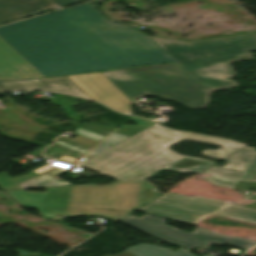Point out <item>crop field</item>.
Masks as SVG:
<instances>
[{
    "label": "crop field",
    "instance_id": "3316defc",
    "mask_svg": "<svg viewBox=\"0 0 256 256\" xmlns=\"http://www.w3.org/2000/svg\"><path fill=\"white\" fill-rule=\"evenodd\" d=\"M88 0H0V24Z\"/></svg>",
    "mask_w": 256,
    "mask_h": 256
},
{
    "label": "crop field",
    "instance_id": "d8731c3e",
    "mask_svg": "<svg viewBox=\"0 0 256 256\" xmlns=\"http://www.w3.org/2000/svg\"><path fill=\"white\" fill-rule=\"evenodd\" d=\"M223 168L210 167L202 173L213 175L203 179L219 186L246 189L256 188V151L244 147L224 159Z\"/></svg>",
    "mask_w": 256,
    "mask_h": 256
},
{
    "label": "crop field",
    "instance_id": "34b2d1b8",
    "mask_svg": "<svg viewBox=\"0 0 256 256\" xmlns=\"http://www.w3.org/2000/svg\"><path fill=\"white\" fill-rule=\"evenodd\" d=\"M144 180L116 182L99 187L91 184L47 188L44 193L8 191L25 208H36L44 219L80 216H102L116 222L141 208ZM103 209H118L100 210ZM50 214L51 216H46Z\"/></svg>",
    "mask_w": 256,
    "mask_h": 256
},
{
    "label": "crop field",
    "instance_id": "dd49c442",
    "mask_svg": "<svg viewBox=\"0 0 256 256\" xmlns=\"http://www.w3.org/2000/svg\"><path fill=\"white\" fill-rule=\"evenodd\" d=\"M137 211L189 224H196L212 214L256 223V202L240 207L200 196L190 198L171 192Z\"/></svg>",
    "mask_w": 256,
    "mask_h": 256
},
{
    "label": "crop field",
    "instance_id": "8a807250",
    "mask_svg": "<svg viewBox=\"0 0 256 256\" xmlns=\"http://www.w3.org/2000/svg\"><path fill=\"white\" fill-rule=\"evenodd\" d=\"M43 76L175 62L147 35L107 20L91 3L0 27Z\"/></svg>",
    "mask_w": 256,
    "mask_h": 256
},
{
    "label": "crop field",
    "instance_id": "ac0d7876",
    "mask_svg": "<svg viewBox=\"0 0 256 256\" xmlns=\"http://www.w3.org/2000/svg\"><path fill=\"white\" fill-rule=\"evenodd\" d=\"M182 139L222 146V151H205L206 155L221 159L245 146V144L228 139L175 131L156 124V126L100 155L82 167L124 181L153 178L164 170L200 173L214 165L181 157L166 149Z\"/></svg>",
    "mask_w": 256,
    "mask_h": 256
},
{
    "label": "crop field",
    "instance_id": "733c2abd",
    "mask_svg": "<svg viewBox=\"0 0 256 256\" xmlns=\"http://www.w3.org/2000/svg\"><path fill=\"white\" fill-rule=\"evenodd\" d=\"M145 183H146L145 194H144V201H143V205L142 206L152 202L155 198H157L158 196L162 195L159 191H157L146 180H145Z\"/></svg>",
    "mask_w": 256,
    "mask_h": 256
},
{
    "label": "crop field",
    "instance_id": "d9b57169",
    "mask_svg": "<svg viewBox=\"0 0 256 256\" xmlns=\"http://www.w3.org/2000/svg\"><path fill=\"white\" fill-rule=\"evenodd\" d=\"M127 117L129 119L133 120L134 122H136L137 125H139V126L149 127V126L153 125L152 121H147V120L134 118V117H130V116H127ZM127 138H129V137H125V136L113 133L108 138H106L98 147H96L92 152L100 154V153L104 152L105 150H107L108 148L112 147L113 145H115Z\"/></svg>",
    "mask_w": 256,
    "mask_h": 256
},
{
    "label": "crop field",
    "instance_id": "5a996713",
    "mask_svg": "<svg viewBox=\"0 0 256 256\" xmlns=\"http://www.w3.org/2000/svg\"><path fill=\"white\" fill-rule=\"evenodd\" d=\"M68 78L90 98L103 102L118 111L127 113L131 110L133 103L101 73L70 76Z\"/></svg>",
    "mask_w": 256,
    "mask_h": 256
},
{
    "label": "crop field",
    "instance_id": "d1516ede",
    "mask_svg": "<svg viewBox=\"0 0 256 256\" xmlns=\"http://www.w3.org/2000/svg\"><path fill=\"white\" fill-rule=\"evenodd\" d=\"M42 77L0 37V79Z\"/></svg>",
    "mask_w": 256,
    "mask_h": 256
},
{
    "label": "crop field",
    "instance_id": "22f410ed",
    "mask_svg": "<svg viewBox=\"0 0 256 256\" xmlns=\"http://www.w3.org/2000/svg\"><path fill=\"white\" fill-rule=\"evenodd\" d=\"M70 183L62 180L58 182L49 175L42 176L30 171L26 175L11 178L7 173H0V188L2 190L38 188L46 186L68 185Z\"/></svg>",
    "mask_w": 256,
    "mask_h": 256
},
{
    "label": "crop field",
    "instance_id": "f4fd0767",
    "mask_svg": "<svg viewBox=\"0 0 256 256\" xmlns=\"http://www.w3.org/2000/svg\"><path fill=\"white\" fill-rule=\"evenodd\" d=\"M130 100L158 96L190 108H205L214 88L196 83L173 64L101 72Z\"/></svg>",
    "mask_w": 256,
    "mask_h": 256
},
{
    "label": "crop field",
    "instance_id": "4a817a6b",
    "mask_svg": "<svg viewBox=\"0 0 256 256\" xmlns=\"http://www.w3.org/2000/svg\"><path fill=\"white\" fill-rule=\"evenodd\" d=\"M115 256H134V255H132V254H130V253L124 251V252L119 253V254H117V255H115Z\"/></svg>",
    "mask_w": 256,
    "mask_h": 256
},
{
    "label": "crop field",
    "instance_id": "cbeb9de0",
    "mask_svg": "<svg viewBox=\"0 0 256 256\" xmlns=\"http://www.w3.org/2000/svg\"><path fill=\"white\" fill-rule=\"evenodd\" d=\"M75 133L77 135H80V136H83V137H86V138H89V139H92V140H95V141H98V142H100L102 139L105 138V136H102V135H99V134H96V133H93V132H90V131H87V130H84V129H81V128H78V127L75 128ZM55 142L60 144V145L65 146V147H68L70 149H73L75 151L81 152L85 155L91 151V148H88V147H85L83 145L68 141V140L60 138V137L56 138ZM65 147H62V146H59V145L55 144L53 146H50L49 149L55 150L57 152H60V153L66 154V155L74 156V157H77V156L82 157L83 156L82 154L77 153L75 151H72L70 149H67ZM49 151L50 150L45 149L43 154L45 156L51 157L56 153L55 152V153H52L51 155H47L46 152H49ZM73 154H75L77 156H75ZM77 158L81 159L80 157H77Z\"/></svg>",
    "mask_w": 256,
    "mask_h": 256
},
{
    "label": "crop field",
    "instance_id": "e52e79f7",
    "mask_svg": "<svg viewBox=\"0 0 256 256\" xmlns=\"http://www.w3.org/2000/svg\"><path fill=\"white\" fill-rule=\"evenodd\" d=\"M120 221L144 231L170 244H177L188 250L194 248H208L211 243L222 245L224 243L247 249L256 244L255 241L230 237L215 233L211 230L197 227L191 233L180 231L165 225L166 219L145 214L141 218L128 216Z\"/></svg>",
    "mask_w": 256,
    "mask_h": 256
},
{
    "label": "crop field",
    "instance_id": "28ad6ade",
    "mask_svg": "<svg viewBox=\"0 0 256 256\" xmlns=\"http://www.w3.org/2000/svg\"><path fill=\"white\" fill-rule=\"evenodd\" d=\"M21 89H46L65 94L88 97L67 77L0 81L1 91Z\"/></svg>",
    "mask_w": 256,
    "mask_h": 256
},
{
    "label": "crop field",
    "instance_id": "5142ce71",
    "mask_svg": "<svg viewBox=\"0 0 256 256\" xmlns=\"http://www.w3.org/2000/svg\"><path fill=\"white\" fill-rule=\"evenodd\" d=\"M138 246L141 249L137 248ZM125 250L136 256H194L182 249L175 253L169 249L150 244H139Z\"/></svg>",
    "mask_w": 256,
    "mask_h": 256
},
{
    "label": "crop field",
    "instance_id": "412701ff",
    "mask_svg": "<svg viewBox=\"0 0 256 256\" xmlns=\"http://www.w3.org/2000/svg\"><path fill=\"white\" fill-rule=\"evenodd\" d=\"M193 80L230 90L234 81L225 80L235 76L230 63L253 59L256 51V34L181 42L150 37Z\"/></svg>",
    "mask_w": 256,
    "mask_h": 256
}]
</instances>
